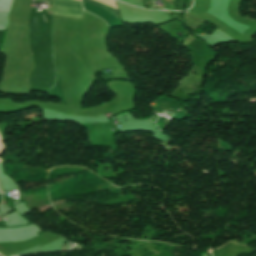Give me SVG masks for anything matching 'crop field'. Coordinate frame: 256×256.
I'll return each mask as SVG.
<instances>
[{"label":"crop field","mask_w":256,"mask_h":256,"mask_svg":"<svg viewBox=\"0 0 256 256\" xmlns=\"http://www.w3.org/2000/svg\"><path fill=\"white\" fill-rule=\"evenodd\" d=\"M53 14L81 17L82 5L77 0H53Z\"/></svg>","instance_id":"1"},{"label":"crop field","mask_w":256,"mask_h":256,"mask_svg":"<svg viewBox=\"0 0 256 256\" xmlns=\"http://www.w3.org/2000/svg\"><path fill=\"white\" fill-rule=\"evenodd\" d=\"M82 1L119 18L116 4L112 0H82Z\"/></svg>","instance_id":"2"}]
</instances>
